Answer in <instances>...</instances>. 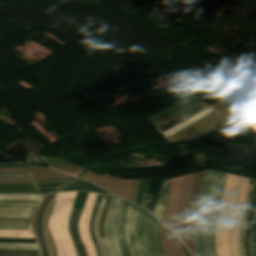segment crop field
I'll use <instances>...</instances> for the list:
<instances>
[{"instance_id":"8a807250","label":"crop field","mask_w":256,"mask_h":256,"mask_svg":"<svg viewBox=\"0 0 256 256\" xmlns=\"http://www.w3.org/2000/svg\"><path fill=\"white\" fill-rule=\"evenodd\" d=\"M227 174L202 171L199 206L194 226L195 256H218L215 249V228Z\"/></svg>"},{"instance_id":"ac0d7876","label":"crop field","mask_w":256,"mask_h":256,"mask_svg":"<svg viewBox=\"0 0 256 256\" xmlns=\"http://www.w3.org/2000/svg\"><path fill=\"white\" fill-rule=\"evenodd\" d=\"M125 233L132 256H164L160 222L134 204L127 212Z\"/></svg>"},{"instance_id":"34b2d1b8","label":"crop field","mask_w":256,"mask_h":256,"mask_svg":"<svg viewBox=\"0 0 256 256\" xmlns=\"http://www.w3.org/2000/svg\"><path fill=\"white\" fill-rule=\"evenodd\" d=\"M130 202L113 197L105 220V236L112 256H130L124 234V220Z\"/></svg>"},{"instance_id":"412701ff","label":"crop field","mask_w":256,"mask_h":256,"mask_svg":"<svg viewBox=\"0 0 256 256\" xmlns=\"http://www.w3.org/2000/svg\"><path fill=\"white\" fill-rule=\"evenodd\" d=\"M40 200H0V229L32 230L31 216Z\"/></svg>"},{"instance_id":"f4fd0767","label":"crop field","mask_w":256,"mask_h":256,"mask_svg":"<svg viewBox=\"0 0 256 256\" xmlns=\"http://www.w3.org/2000/svg\"><path fill=\"white\" fill-rule=\"evenodd\" d=\"M248 180L249 179L247 178L238 176L237 187L233 200V208L231 211V220L228 230L227 250L229 256H239V226L244 208Z\"/></svg>"},{"instance_id":"dd49c442","label":"crop field","mask_w":256,"mask_h":256,"mask_svg":"<svg viewBox=\"0 0 256 256\" xmlns=\"http://www.w3.org/2000/svg\"><path fill=\"white\" fill-rule=\"evenodd\" d=\"M80 209L73 208L68 219V230L77 256H86L83 244L78 234L77 226L81 214Z\"/></svg>"},{"instance_id":"e52e79f7","label":"crop field","mask_w":256,"mask_h":256,"mask_svg":"<svg viewBox=\"0 0 256 256\" xmlns=\"http://www.w3.org/2000/svg\"><path fill=\"white\" fill-rule=\"evenodd\" d=\"M253 184H254V180L250 179L247 196H246L244 213L242 216L241 227H240V239H239L240 256H245L244 251H243V241H244V235H245V224H246V220H247V212H248V207H249V203H250V197H251Z\"/></svg>"},{"instance_id":"d8731c3e","label":"crop field","mask_w":256,"mask_h":256,"mask_svg":"<svg viewBox=\"0 0 256 256\" xmlns=\"http://www.w3.org/2000/svg\"><path fill=\"white\" fill-rule=\"evenodd\" d=\"M255 203H256V180L254 184L250 208L248 212V221L246 225V235H245V241H244V251L246 256H250V252H249L250 229H251L252 216L254 213Z\"/></svg>"},{"instance_id":"5a996713","label":"crop field","mask_w":256,"mask_h":256,"mask_svg":"<svg viewBox=\"0 0 256 256\" xmlns=\"http://www.w3.org/2000/svg\"><path fill=\"white\" fill-rule=\"evenodd\" d=\"M213 109L211 108H207L204 111L198 113L197 115L193 116L192 118L166 130L165 132L161 133L165 138L173 135L174 133H176L177 131L185 128L186 126L190 125L191 123H193L194 121L200 119L201 117L205 116L206 114H208L209 112H211Z\"/></svg>"},{"instance_id":"3316defc","label":"crop field","mask_w":256,"mask_h":256,"mask_svg":"<svg viewBox=\"0 0 256 256\" xmlns=\"http://www.w3.org/2000/svg\"><path fill=\"white\" fill-rule=\"evenodd\" d=\"M106 196H107V195H104V196H103L102 202H101L100 207H99V210H98V212H97L96 221H95V234H96L97 239H98V241H99V244H100V247H101L102 255H103V256H111L110 249H109L108 243H107V241H106V238H100L99 230H98V222H99L101 210H102V208H103V205H104Z\"/></svg>"},{"instance_id":"28ad6ade","label":"crop field","mask_w":256,"mask_h":256,"mask_svg":"<svg viewBox=\"0 0 256 256\" xmlns=\"http://www.w3.org/2000/svg\"><path fill=\"white\" fill-rule=\"evenodd\" d=\"M169 183H170V179L165 180L163 182L162 189L159 196V202H158V205L155 206V210L153 213L155 216L159 218L160 221L162 219V215L165 207L166 197L169 190Z\"/></svg>"},{"instance_id":"d1516ede","label":"crop field","mask_w":256,"mask_h":256,"mask_svg":"<svg viewBox=\"0 0 256 256\" xmlns=\"http://www.w3.org/2000/svg\"><path fill=\"white\" fill-rule=\"evenodd\" d=\"M101 196L102 195H99V194H97V196H96L95 204H94V207H93V211H92V215H91V219H90V223H89V232H90L91 239H92L93 245L95 247V250H96L98 256H102V255H101V252H100V249H99V245H98L96 236L94 234V220H95L96 212H97L98 207H99Z\"/></svg>"},{"instance_id":"22f410ed","label":"crop field","mask_w":256,"mask_h":256,"mask_svg":"<svg viewBox=\"0 0 256 256\" xmlns=\"http://www.w3.org/2000/svg\"><path fill=\"white\" fill-rule=\"evenodd\" d=\"M72 178H44V179H32L37 188L41 187H55L62 186Z\"/></svg>"},{"instance_id":"cbeb9de0","label":"crop field","mask_w":256,"mask_h":256,"mask_svg":"<svg viewBox=\"0 0 256 256\" xmlns=\"http://www.w3.org/2000/svg\"><path fill=\"white\" fill-rule=\"evenodd\" d=\"M206 107H208V106H205V105L202 104V105L196 107L195 109L189 111L188 113L184 114V116H181V117H179V118H177V119H175V120L157 128V130L161 133L164 130L168 129L169 127H171V126H173V125H175V124H177V123L195 115L196 113L200 112L201 110H203Z\"/></svg>"},{"instance_id":"5142ce71","label":"crop field","mask_w":256,"mask_h":256,"mask_svg":"<svg viewBox=\"0 0 256 256\" xmlns=\"http://www.w3.org/2000/svg\"><path fill=\"white\" fill-rule=\"evenodd\" d=\"M0 256H40L38 250L0 249Z\"/></svg>"},{"instance_id":"d9b57169","label":"crop field","mask_w":256,"mask_h":256,"mask_svg":"<svg viewBox=\"0 0 256 256\" xmlns=\"http://www.w3.org/2000/svg\"><path fill=\"white\" fill-rule=\"evenodd\" d=\"M142 195L153 196V198L152 197H147V196H142L141 204H140V206H142L144 209L147 210L150 206V201H151V198H152L150 210L149 209L148 210L151 213H153L154 206L158 202L159 194H142Z\"/></svg>"},{"instance_id":"733c2abd","label":"crop field","mask_w":256,"mask_h":256,"mask_svg":"<svg viewBox=\"0 0 256 256\" xmlns=\"http://www.w3.org/2000/svg\"><path fill=\"white\" fill-rule=\"evenodd\" d=\"M250 252L251 256H256V209L253 216V223L251 229Z\"/></svg>"},{"instance_id":"4a817a6b","label":"crop field","mask_w":256,"mask_h":256,"mask_svg":"<svg viewBox=\"0 0 256 256\" xmlns=\"http://www.w3.org/2000/svg\"><path fill=\"white\" fill-rule=\"evenodd\" d=\"M0 248L38 249L37 244H0Z\"/></svg>"},{"instance_id":"bc2a9ffb","label":"crop field","mask_w":256,"mask_h":256,"mask_svg":"<svg viewBox=\"0 0 256 256\" xmlns=\"http://www.w3.org/2000/svg\"><path fill=\"white\" fill-rule=\"evenodd\" d=\"M0 199H41V195H0Z\"/></svg>"},{"instance_id":"214f88e0","label":"crop field","mask_w":256,"mask_h":256,"mask_svg":"<svg viewBox=\"0 0 256 256\" xmlns=\"http://www.w3.org/2000/svg\"><path fill=\"white\" fill-rule=\"evenodd\" d=\"M0 243H36L35 239L0 238Z\"/></svg>"},{"instance_id":"92a150f3","label":"crop field","mask_w":256,"mask_h":256,"mask_svg":"<svg viewBox=\"0 0 256 256\" xmlns=\"http://www.w3.org/2000/svg\"><path fill=\"white\" fill-rule=\"evenodd\" d=\"M70 190H85V191H93V192L106 193V192H104L101 189L91 188V187H79V186L65 187L61 191H70ZM106 194H108V193H106Z\"/></svg>"},{"instance_id":"dafd665d","label":"crop field","mask_w":256,"mask_h":256,"mask_svg":"<svg viewBox=\"0 0 256 256\" xmlns=\"http://www.w3.org/2000/svg\"><path fill=\"white\" fill-rule=\"evenodd\" d=\"M198 102H200V101L197 100V101L191 103L190 105L184 107L183 109L179 110L178 112H176V113H174V114H172V115H170V116H168V117H166V118H164V119H161L160 121H157V122H155V123H153V124L156 125V124H158V123H160V122H162V121H165V120H167V119H169V118H171V117H173V116H175V115H177V114H179V113H181V112L187 110L188 108H190L191 106L195 105V104L198 103Z\"/></svg>"},{"instance_id":"00972430","label":"crop field","mask_w":256,"mask_h":256,"mask_svg":"<svg viewBox=\"0 0 256 256\" xmlns=\"http://www.w3.org/2000/svg\"><path fill=\"white\" fill-rule=\"evenodd\" d=\"M69 185H82V186H91V187H96L95 185L87 182V181H77L74 180L73 182H71ZM68 186V185H67Z\"/></svg>"},{"instance_id":"a9b5d70f","label":"crop field","mask_w":256,"mask_h":256,"mask_svg":"<svg viewBox=\"0 0 256 256\" xmlns=\"http://www.w3.org/2000/svg\"><path fill=\"white\" fill-rule=\"evenodd\" d=\"M5 167H25V165H22V164H5V165L0 166V168H5Z\"/></svg>"},{"instance_id":"4177f3b9","label":"crop field","mask_w":256,"mask_h":256,"mask_svg":"<svg viewBox=\"0 0 256 256\" xmlns=\"http://www.w3.org/2000/svg\"><path fill=\"white\" fill-rule=\"evenodd\" d=\"M59 188V187H55V188H41L38 189L41 193H50L52 190Z\"/></svg>"}]
</instances>
